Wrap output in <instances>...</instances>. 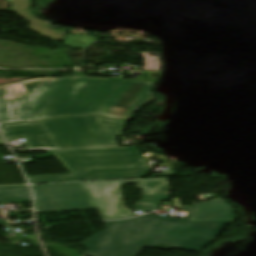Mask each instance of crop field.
<instances>
[{
    "instance_id": "obj_1",
    "label": "crop field",
    "mask_w": 256,
    "mask_h": 256,
    "mask_svg": "<svg viewBox=\"0 0 256 256\" xmlns=\"http://www.w3.org/2000/svg\"><path fill=\"white\" fill-rule=\"evenodd\" d=\"M154 83L87 77L45 78L27 93L22 83L0 87V123L63 115L130 119L153 97Z\"/></svg>"
},
{
    "instance_id": "obj_2",
    "label": "crop field",
    "mask_w": 256,
    "mask_h": 256,
    "mask_svg": "<svg viewBox=\"0 0 256 256\" xmlns=\"http://www.w3.org/2000/svg\"><path fill=\"white\" fill-rule=\"evenodd\" d=\"M127 122L101 117L51 119L3 126L7 142L25 138L29 150L117 145Z\"/></svg>"
},
{
    "instance_id": "obj_3",
    "label": "crop field",
    "mask_w": 256,
    "mask_h": 256,
    "mask_svg": "<svg viewBox=\"0 0 256 256\" xmlns=\"http://www.w3.org/2000/svg\"><path fill=\"white\" fill-rule=\"evenodd\" d=\"M51 153L72 174L28 177L31 184L134 178L149 172L136 146Z\"/></svg>"
},
{
    "instance_id": "obj_4",
    "label": "crop field",
    "mask_w": 256,
    "mask_h": 256,
    "mask_svg": "<svg viewBox=\"0 0 256 256\" xmlns=\"http://www.w3.org/2000/svg\"><path fill=\"white\" fill-rule=\"evenodd\" d=\"M163 217L143 215L138 218L105 222L107 228L83 241L87 256H138L145 248Z\"/></svg>"
},
{
    "instance_id": "obj_5",
    "label": "crop field",
    "mask_w": 256,
    "mask_h": 256,
    "mask_svg": "<svg viewBox=\"0 0 256 256\" xmlns=\"http://www.w3.org/2000/svg\"><path fill=\"white\" fill-rule=\"evenodd\" d=\"M224 225H233L232 220L193 222L165 218L145 247L199 252L220 235Z\"/></svg>"
},
{
    "instance_id": "obj_6",
    "label": "crop field",
    "mask_w": 256,
    "mask_h": 256,
    "mask_svg": "<svg viewBox=\"0 0 256 256\" xmlns=\"http://www.w3.org/2000/svg\"><path fill=\"white\" fill-rule=\"evenodd\" d=\"M32 187L37 213L95 208L83 183Z\"/></svg>"
},
{
    "instance_id": "obj_7",
    "label": "crop field",
    "mask_w": 256,
    "mask_h": 256,
    "mask_svg": "<svg viewBox=\"0 0 256 256\" xmlns=\"http://www.w3.org/2000/svg\"><path fill=\"white\" fill-rule=\"evenodd\" d=\"M133 181L84 183L103 220L134 216L132 211L124 207L121 193V187Z\"/></svg>"
},
{
    "instance_id": "obj_8",
    "label": "crop field",
    "mask_w": 256,
    "mask_h": 256,
    "mask_svg": "<svg viewBox=\"0 0 256 256\" xmlns=\"http://www.w3.org/2000/svg\"><path fill=\"white\" fill-rule=\"evenodd\" d=\"M136 189L143 191V200L135 203V210L152 212L161 201L169 199L170 187L167 178L135 180Z\"/></svg>"
},
{
    "instance_id": "obj_9",
    "label": "crop field",
    "mask_w": 256,
    "mask_h": 256,
    "mask_svg": "<svg viewBox=\"0 0 256 256\" xmlns=\"http://www.w3.org/2000/svg\"><path fill=\"white\" fill-rule=\"evenodd\" d=\"M181 210L186 212L187 219L191 220L235 218L232 207L221 199L182 208Z\"/></svg>"
},
{
    "instance_id": "obj_10",
    "label": "crop field",
    "mask_w": 256,
    "mask_h": 256,
    "mask_svg": "<svg viewBox=\"0 0 256 256\" xmlns=\"http://www.w3.org/2000/svg\"><path fill=\"white\" fill-rule=\"evenodd\" d=\"M16 13L31 23V25L28 27L29 29L40 33V35L43 37H47L57 41H63L65 35L67 34V31L50 29L49 24H46L44 22L31 18L28 15V13H24V12H16Z\"/></svg>"
},
{
    "instance_id": "obj_11",
    "label": "crop field",
    "mask_w": 256,
    "mask_h": 256,
    "mask_svg": "<svg viewBox=\"0 0 256 256\" xmlns=\"http://www.w3.org/2000/svg\"><path fill=\"white\" fill-rule=\"evenodd\" d=\"M31 201L27 186L0 187V202Z\"/></svg>"
},
{
    "instance_id": "obj_12",
    "label": "crop field",
    "mask_w": 256,
    "mask_h": 256,
    "mask_svg": "<svg viewBox=\"0 0 256 256\" xmlns=\"http://www.w3.org/2000/svg\"><path fill=\"white\" fill-rule=\"evenodd\" d=\"M93 42H95V41H93L85 36L76 35V34H73V36L67 34L64 39L65 45L70 48H85L88 45L92 44Z\"/></svg>"
},
{
    "instance_id": "obj_13",
    "label": "crop field",
    "mask_w": 256,
    "mask_h": 256,
    "mask_svg": "<svg viewBox=\"0 0 256 256\" xmlns=\"http://www.w3.org/2000/svg\"><path fill=\"white\" fill-rule=\"evenodd\" d=\"M11 10L27 11L30 6V0H10Z\"/></svg>"
},
{
    "instance_id": "obj_14",
    "label": "crop field",
    "mask_w": 256,
    "mask_h": 256,
    "mask_svg": "<svg viewBox=\"0 0 256 256\" xmlns=\"http://www.w3.org/2000/svg\"><path fill=\"white\" fill-rule=\"evenodd\" d=\"M8 224L6 220L0 221V225Z\"/></svg>"
},
{
    "instance_id": "obj_15",
    "label": "crop field",
    "mask_w": 256,
    "mask_h": 256,
    "mask_svg": "<svg viewBox=\"0 0 256 256\" xmlns=\"http://www.w3.org/2000/svg\"><path fill=\"white\" fill-rule=\"evenodd\" d=\"M0 145H5L4 142L0 138Z\"/></svg>"
}]
</instances>
